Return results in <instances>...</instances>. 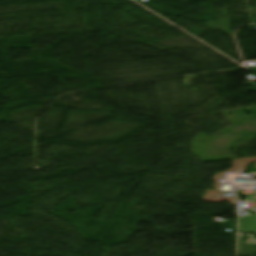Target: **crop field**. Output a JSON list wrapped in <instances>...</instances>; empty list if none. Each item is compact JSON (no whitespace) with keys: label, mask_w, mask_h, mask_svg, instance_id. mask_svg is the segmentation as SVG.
Here are the masks:
<instances>
[{"label":"crop field","mask_w":256,"mask_h":256,"mask_svg":"<svg viewBox=\"0 0 256 256\" xmlns=\"http://www.w3.org/2000/svg\"><path fill=\"white\" fill-rule=\"evenodd\" d=\"M240 233H256V212L239 216Z\"/></svg>","instance_id":"1"}]
</instances>
